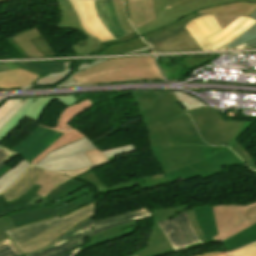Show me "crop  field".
Segmentation results:
<instances>
[{"mask_svg":"<svg viewBox=\"0 0 256 256\" xmlns=\"http://www.w3.org/2000/svg\"><path fill=\"white\" fill-rule=\"evenodd\" d=\"M193 119L202 139L211 145H228L252 169L256 162L251 155L236 141L254 122L226 121L210 107L194 109L187 112Z\"/></svg>","mask_w":256,"mask_h":256,"instance_id":"e52e79f7","label":"crop field"},{"mask_svg":"<svg viewBox=\"0 0 256 256\" xmlns=\"http://www.w3.org/2000/svg\"><path fill=\"white\" fill-rule=\"evenodd\" d=\"M219 235L222 241L256 222V203L246 206H213Z\"/></svg>","mask_w":256,"mask_h":256,"instance_id":"d1516ede","label":"crop field"},{"mask_svg":"<svg viewBox=\"0 0 256 256\" xmlns=\"http://www.w3.org/2000/svg\"><path fill=\"white\" fill-rule=\"evenodd\" d=\"M31 165L23 160L16 167L6 172L0 177V193L15 183L19 177L25 172V170Z\"/></svg>","mask_w":256,"mask_h":256,"instance_id":"120bbe31","label":"crop field"},{"mask_svg":"<svg viewBox=\"0 0 256 256\" xmlns=\"http://www.w3.org/2000/svg\"><path fill=\"white\" fill-rule=\"evenodd\" d=\"M158 225L175 250L185 248V245L199 242L189 222L186 210L172 219L159 222Z\"/></svg>","mask_w":256,"mask_h":256,"instance_id":"cbeb9de0","label":"crop field"},{"mask_svg":"<svg viewBox=\"0 0 256 256\" xmlns=\"http://www.w3.org/2000/svg\"><path fill=\"white\" fill-rule=\"evenodd\" d=\"M14 245L10 239L0 242V256H17L21 254Z\"/></svg>","mask_w":256,"mask_h":256,"instance_id":"03da06ac","label":"crop field"},{"mask_svg":"<svg viewBox=\"0 0 256 256\" xmlns=\"http://www.w3.org/2000/svg\"><path fill=\"white\" fill-rule=\"evenodd\" d=\"M77 178L84 179V180L90 182L91 184L95 185L97 190H98L97 193L116 191V190H120V189H124V188L134 186L133 182L130 181V182H126V183H123V184H119V185L107 188L98 180V178L95 176L94 173H90V172H88V173H86V174H84L80 177H77Z\"/></svg>","mask_w":256,"mask_h":256,"instance_id":"5866460e","label":"crop field"},{"mask_svg":"<svg viewBox=\"0 0 256 256\" xmlns=\"http://www.w3.org/2000/svg\"><path fill=\"white\" fill-rule=\"evenodd\" d=\"M151 216L152 214L146 209V207H144L139 210L107 217L97 221H93L92 218H90L70 230L64 235V237L56 240L54 244L28 256H74L83 248L88 237L119 224Z\"/></svg>","mask_w":256,"mask_h":256,"instance_id":"d8731c3e","label":"crop field"},{"mask_svg":"<svg viewBox=\"0 0 256 256\" xmlns=\"http://www.w3.org/2000/svg\"><path fill=\"white\" fill-rule=\"evenodd\" d=\"M188 211V214H189V218H190V222L195 230V232L197 233L198 237L200 240H203L204 237L202 236L199 228H198V225L196 223V220H195V217H194V213H193V210H187Z\"/></svg>","mask_w":256,"mask_h":256,"instance_id":"73cf0c24","label":"crop field"},{"mask_svg":"<svg viewBox=\"0 0 256 256\" xmlns=\"http://www.w3.org/2000/svg\"><path fill=\"white\" fill-rule=\"evenodd\" d=\"M237 1L256 3V0H153L157 19L136 30L142 36L170 23H174L189 13L205 9L209 6Z\"/></svg>","mask_w":256,"mask_h":256,"instance_id":"5a996713","label":"crop field"},{"mask_svg":"<svg viewBox=\"0 0 256 256\" xmlns=\"http://www.w3.org/2000/svg\"><path fill=\"white\" fill-rule=\"evenodd\" d=\"M234 48H256V40L236 46ZM233 49V48H231Z\"/></svg>","mask_w":256,"mask_h":256,"instance_id":"dbb93151","label":"crop field"},{"mask_svg":"<svg viewBox=\"0 0 256 256\" xmlns=\"http://www.w3.org/2000/svg\"><path fill=\"white\" fill-rule=\"evenodd\" d=\"M15 155L17 154L0 145V167Z\"/></svg>","mask_w":256,"mask_h":256,"instance_id":"425ffa30","label":"crop field"},{"mask_svg":"<svg viewBox=\"0 0 256 256\" xmlns=\"http://www.w3.org/2000/svg\"><path fill=\"white\" fill-rule=\"evenodd\" d=\"M19 256H24V255H19Z\"/></svg>","mask_w":256,"mask_h":256,"instance_id":"db79e9e6","label":"crop field"},{"mask_svg":"<svg viewBox=\"0 0 256 256\" xmlns=\"http://www.w3.org/2000/svg\"><path fill=\"white\" fill-rule=\"evenodd\" d=\"M10 44L24 57L29 58L25 52L16 44V42L13 39L8 40Z\"/></svg>","mask_w":256,"mask_h":256,"instance_id":"1f2cbd36","label":"crop field"},{"mask_svg":"<svg viewBox=\"0 0 256 256\" xmlns=\"http://www.w3.org/2000/svg\"><path fill=\"white\" fill-rule=\"evenodd\" d=\"M131 151H135V148L132 144L118 147V148L111 149V150H107V151H103V154L106 156L107 159H109L116 155L131 152Z\"/></svg>","mask_w":256,"mask_h":256,"instance_id":"b54c1fbb","label":"crop field"},{"mask_svg":"<svg viewBox=\"0 0 256 256\" xmlns=\"http://www.w3.org/2000/svg\"><path fill=\"white\" fill-rule=\"evenodd\" d=\"M94 211V203H91L69 214L19 226L6 232L21 252L27 255L54 243L61 235L93 216Z\"/></svg>","mask_w":256,"mask_h":256,"instance_id":"412701ff","label":"crop field"},{"mask_svg":"<svg viewBox=\"0 0 256 256\" xmlns=\"http://www.w3.org/2000/svg\"><path fill=\"white\" fill-rule=\"evenodd\" d=\"M54 100L61 102L66 108L60 115V120L55 128L43 125L40 123L39 118L44 112L48 104ZM24 105L15 113V115L0 129V142L6 138L16 126L24 119L29 118L40 123V126L33 131L26 139H24L17 147L24 143L28 138H30L36 131H38L42 126L59 132L53 140L40 152L34 155L28 161L32 162L33 165L41 161V159L50 151L62 147L66 144L74 142L78 139L85 137L82 133L76 131L67 124L79 113L85 111L86 109L92 107V103L89 99L78 102L73 96H50V97H34L25 98L21 101ZM64 129V131H62ZM71 129V131H68Z\"/></svg>","mask_w":256,"mask_h":256,"instance_id":"34b2d1b8","label":"crop field"},{"mask_svg":"<svg viewBox=\"0 0 256 256\" xmlns=\"http://www.w3.org/2000/svg\"><path fill=\"white\" fill-rule=\"evenodd\" d=\"M113 2L117 17L126 34L134 31L133 27L130 25L126 18L123 0H113Z\"/></svg>","mask_w":256,"mask_h":256,"instance_id":"e1f06a70","label":"crop field"},{"mask_svg":"<svg viewBox=\"0 0 256 256\" xmlns=\"http://www.w3.org/2000/svg\"><path fill=\"white\" fill-rule=\"evenodd\" d=\"M187 206L152 211L154 224L147 246L136 253L137 256H160L173 251V247L156 222L172 218L185 210Z\"/></svg>","mask_w":256,"mask_h":256,"instance_id":"22f410ed","label":"crop field"},{"mask_svg":"<svg viewBox=\"0 0 256 256\" xmlns=\"http://www.w3.org/2000/svg\"><path fill=\"white\" fill-rule=\"evenodd\" d=\"M136 224H137V221H134L131 223L119 225L105 232L97 234L88 239L87 244L81 251L94 247L96 245L102 244L104 242H109L115 239H119L123 236L135 233Z\"/></svg>","mask_w":256,"mask_h":256,"instance_id":"730fd06b","label":"crop field"},{"mask_svg":"<svg viewBox=\"0 0 256 256\" xmlns=\"http://www.w3.org/2000/svg\"><path fill=\"white\" fill-rule=\"evenodd\" d=\"M178 101L181 103V105L183 106V108L186 111H189L191 109L194 108H199V107H205L206 105L203 104L202 102H200L199 100L190 97L184 93L181 92H174Z\"/></svg>","mask_w":256,"mask_h":256,"instance_id":"b80d0937","label":"crop field"},{"mask_svg":"<svg viewBox=\"0 0 256 256\" xmlns=\"http://www.w3.org/2000/svg\"><path fill=\"white\" fill-rule=\"evenodd\" d=\"M185 27L203 50L212 49L204 38L222 30L213 15L198 17Z\"/></svg>","mask_w":256,"mask_h":256,"instance_id":"733c2abd","label":"crop field"},{"mask_svg":"<svg viewBox=\"0 0 256 256\" xmlns=\"http://www.w3.org/2000/svg\"><path fill=\"white\" fill-rule=\"evenodd\" d=\"M22 99H9L0 107V128L14 115L23 105Z\"/></svg>","mask_w":256,"mask_h":256,"instance_id":"028f5c9d","label":"crop field"},{"mask_svg":"<svg viewBox=\"0 0 256 256\" xmlns=\"http://www.w3.org/2000/svg\"><path fill=\"white\" fill-rule=\"evenodd\" d=\"M254 241H256V223L222 242L227 251H231Z\"/></svg>","mask_w":256,"mask_h":256,"instance_id":"d3111659","label":"crop field"},{"mask_svg":"<svg viewBox=\"0 0 256 256\" xmlns=\"http://www.w3.org/2000/svg\"><path fill=\"white\" fill-rule=\"evenodd\" d=\"M108 59H95L91 65L83 64L79 66V69L77 71H73L72 68L69 70V65L74 61H64L65 64V70L61 73H52L49 75H44L40 77L36 82H34L33 85L26 87V88H31L36 85H55V86H72V85H77L74 80L71 78L73 75L76 73L87 69L91 66H94L98 63H101L103 61H106ZM25 89V88H22Z\"/></svg>","mask_w":256,"mask_h":256,"instance_id":"bc2a9ffb","label":"crop field"},{"mask_svg":"<svg viewBox=\"0 0 256 256\" xmlns=\"http://www.w3.org/2000/svg\"><path fill=\"white\" fill-rule=\"evenodd\" d=\"M10 170L9 168H7L5 165H3L1 168H0V176L2 174H4L6 171Z\"/></svg>","mask_w":256,"mask_h":256,"instance_id":"1d79db26","label":"crop field"},{"mask_svg":"<svg viewBox=\"0 0 256 256\" xmlns=\"http://www.w3.org/2000/svg\"><path fill=\"white\" fill-rule=\"evenodd\" d=\"M130 256H136V255H135V253H134V254H132V255H130Z\"/></svg>","mask_w":256,"mask_h":256,"instance_id":"0765c3eb","label":"crop field"},{"mask_svg":"<svg viewBox=\"0 0 256 256\" xmlns=\"http://www.w3.org/2000/svg\"><path fill=\"white\" fill-rule=\"evenodd\" d=\"M6 1H11V0H0V3L6 2Z\"/></svg>","mask_w":256,"mask_h":256,"instance_id":"447ae74e","label":"crop field"},{"mask_svg":"<svg viewBox=\"0 0 256 256\" xmlns=\"http://www.w3.org/2000/svg\"><path fill=\"white\" fill-rule=\"evenodd\" d=\"M142 39H143V41H145L146 43L149 44V42L147 41V39L144 36H142Z\"/></svg>","mask_w":256,"mask_h":256,"instance_id":"9d1cf04e","label":"crop field"},{"mask_svg":"<svg viewBox=\"0 0 256 256\" xmlns=\"http://www.w3.org/2000/svg\"><path fill=\"white\" fill-rule=\"evenodd\" d=\"M40 76L23 68L0 73V88H19L33 84Z\"/></svg>","mask_w":256,"mask_h":256,"instance_id":"4177f3b9","label":"crop field"},{"mask_svg":"<svg viewBox=\"0 0 256 256\" xmlns=\"http://www.w3.org/2000/svg\"><path fill=\"white\" fill-rule=\"evenodd\" d=\"M31 41L44 57H57L55 52L43 36L31 39Z\"/></svg>","mask_w":256,"mask_h":256,"instance_id":"c21b1889","label":"crop field"},{"mask_svg":"<svg viewBox=\"0 0 256 256\" xmlns=\"http://www.w3.org/2000/svg\"><path fill=\"white\" fill-rule=\"evenodd\" d=\"M200 16L193 13L178 20L174 24L144 35L154 52L158 51H181V50H201L192 36L185 29V25L192 19ZM159 43V45H157Z\"/></svg>","mask_w":256,"mask_h":256,"instance_id":"3316defc","label":"crop field"},{"mask_svg":"<svg viewBox=\"0 0 256 256\" xmlns=\"http://www.w3.org/2000/svg\"><path fill=\"white\" fill-rule=\"evenodd\" d=\"M67 180H69V178L45 171L36 182V184L42 185L38 191V194L45 197L54 187L64 183Z\"/></svg>","mask_w":256,"mask_h":256,"instance_id":"1d83c4d3","label":"crop field"},{"mask_svg":"<svg viewBox=\"0 0 256 256\" xmlns=\"http://www.w3.org/2000/svg\"><path fill=\"white\" fill-rule=\"evenodd\" d=\"M216 56H198V57H186L184 58L189 68L199 65L205 61H208Z\"/></svg>","mask_w":256,"mask_h":256,"instance_id":"d23c7cc5","label":"crop field"},{"mask_svg":"<svg viewBox=\"0 0 256 256\" xmlns=\"http://www.w3.org/2000/svg\"><path fill=\"white\" fill-rule=\"evenodd\" d=\"M175 146L152 151L159 161L167 182L201 175L202 179L223 172L222 166L242 165L230 148L217 152L206 159L203 155L206 145L190 117L183 113L161 122Z\"/></svg>","mask_w":256,"mask_h":256,"instance_id":"8a807250","label":"crop field"},{"mask_svg":"<svg viewBox=\"0 0 256 256\" xmlns=\"http://www.w3.org/2000/svg\"><path fill=\"white\" fill-rule=\"evenodd\" d=\"M39 31L34 28L27 31H23L18 35L11 37L18 45L27 53L30 58L43 57L29 39L40 36ZM10 39V38H9Z\"/></svg>","mask_w":256,"mask_h":256,"instance_id":"bd1437ed","label":"crop field"},{"mask_svg":"<svg viewBox=\"0 0 256 256\" xmlns=\"http://www.w3.org/2000/svg\"><path fill=\"white\" fill-rule=\"evenodd\" d=\"M39 187L34 184L27 194L10 203H7L0 194V217L9 215L17 227L52 216H60L93 202V193L90 189L72 179L53 189L45 198L36 194Z\"/></svg>","mask_w":256,"mask_h":256,"instance_id":"ac0d7876","label":"crop field"},{"mask_svg":"<svg viewBox=\"0 0 256 256\" xmlns=\"http://www.w3.org/2000/svg\"><path fill=\"white\" fill-rule=\"evenodd\" d=\"M96 149L92 143L83 138L79 141L66 145L48 153L41 162L35 166L56 170H73L91 165L84 152Z\"/></svg>","mask_w":256,"mask_h":256,"instance_id":"28ad6ade","label":"crop field"},{"mask_svg":"<svg viewBox=\"0 0 256 256\" xmlns=\"http://www.w3.org/2000/svg\"><path fill=\"white\" fill-rule=\"evenodd\" d=\"M20 68L14 63H0V72L5 71V70H10V69H16Z\"/></svg>","mask_w":256,"mask_h":256,"instance_id":"89e229c0","label":"crop field"},{"mask_svg":"<svg viewBox=\"0 0 256 256\" xmlns=\"http://www.w3.org/2000/svg\"><path fill=\"white\" fill-rule=\"evenodd\" d=\"M151 47L148 46V47H144V48H140V49H137V50H133V51H129V52H125V53H140L142 51H146V50H150ZM123 54V53H122Z\"/></svg>","mask_w":256,"mask_h":256,"instance_id":"0fb4a251","label":"crop field"},{"mask_svg":"<svg viewBox=\"0 0 256 256\" xmlns=\"http://www.w3.org/2000/svg\"><path fill=\"white\" fill-rule=\"evenodd\" d=\"M250 17H252L253 19L256 20V11L253 14H251ZM255 38H256V24L253 25L249 30H247L239 38H237L232 43H230L229 45H227L226 47H224L222 49H228V48H231L233 46H236V45H239V44L251 41V40H253Z\"/></svg>","mask_w":256,"mask_h":256,"instance_id":"c035e120","label":"crop field"},{"mask_svg":"<svg viewBox=\"0 0 256 256\" xmlns=\"http://www.w3.org/2000/svg\"><path fill=\"white\" fill-rule=\"evenodd\" d=\"M256 10V4L237 2L222 6H214L205 10L198 11L200 14H227V15H245L249 16Z\"/></svg>","mask_w":256,"mask_h":256,"instance_id":"ae1a2a85","label":"crop field"},{"mask_svg":"<svg viewBox=\"0 0 256 256\" xmlns=\"http://www.w3.org/2000/svg\"><path fill=\"white\" fill-rule=\"evenodd\" d=\"M254 23H256L255 20L249 17L240 16L233 23H231L227 28L206 39L211 43V45L215 49H220L226 46L227 44H229L230 42H232L237 37H239Z\"/></svg>","mask_w":256,"mask_h":256,"instance_id":"4a817a6b","label":"crop field"},{"mask_svg":"<svg viewBox=\"0 0 256 256\" xmlns=\"http://www.w3.org/2000/svg\"><path fill=\"white\" fill-rule=\"evenodd\" d=\"M72 78L78 84L164 79L153 57L110 59Z\"/></svg>","mask_w":256,"mask_h":256,"instance_id":"f4fd0767","label":"crop field"},{"mask_svg":"<svg viewBox=\"0 0 256 256\" xmlns=\"http://www.w3.org/2000/svg\"><path fill=\"white\" fill-rule=\"evenodd\" d=\"M93 1L99 18L110 34L115 38L125 35L115 15L112 0Z\"/></svg>","mask_w":256,"mask_h":256,"instance_id":"dafd665d","label":"crop field"},{"mask_svg":"<svg viewBox=\"0 0 256 256\" xmlns=\"http://www.w3.org/2000/svg\"><path fill=\"white\" fill-rule=\"evenodd\" d=\"M194 213L205 239L218 234L212 206L194 208Z\"/></svg>","mask_w":256,"mask_h":256,"instance_id":"eef30255","label":"crop field"},{"mask_svg":"<svg viewBox=\"0 0 256 256\" xmlns=\"http://www.w3.org/2000/svg\"><path fill=\"white\" fill-rule=\"evenodd\" d=\"M144 46H148V45L143 43V41L135 31L129 35H125L118 39L101 43L100 46L96 48L94 52L98 54H119L124 51L132 50V49H136Z\"/></svg>","mask_w":256,"mask_h":256,"instance_id":"214f88e0","label":"crop field"},{"mask_svg":"<svg viewBox=\"0 0 256 256\" xmlns=\"http://www.w3.org/2000/svg\"><path fill=\"white\" fill-rule=\"evenodd\" d=\"M43 172L44 170L30 167L11 188L3 193L7 202H10L27 193V191L30 190Z\"/></svg>","mask_w":256,"mask_h":256,"instance_id":"a9b5d70f","label":"crop field"},{"mask_svg":"<svg viewBox=\"0 0 256 256\" xmlns=\"http://www.w3.org/2000/svg\"><path fill=\"white\" fill-rule=\"evenodd\" d=\"M56 2L61 7V19L58 23H56L58 29L74 28L85 33L87 39L81 41L79 44L75 46H72V49L74 50L76 56H83L86 54L89 55L91 52L95 50L96 46L100 44V41H98L96 38L85 32L69 0H60Z\"/></svg>","mask_w":256,"mask_h":256,"instance_id":"5142ce71","label":"crop field"},{"mask_svg":"<svg viewBox=\"0 0 256 256\" xmlns=\"http://www.w3.org/2000/svg\"><path fill=\"white\" fill-rule=\"evenodd\" d=\"M86 32L101 42L114 39L97 18L92 0H70Z\"/></svg>","mask_w":256,"mask_h":256,"instance_id":"d9b57169","label":"crop field"},{"mask_svg":"<svg viewBox=\"0 0 256 256\" xmlns=\"http://www.w3.org/2000/svg\"><path fill=\"white\" fill-rule=\"evenodd\" d=\"M56 134L57 132L42 127L14 152L28 160L47 145Z\"/></svg>","mask_w":256,"mask_h":256,"instance_id":"00972430","label":"crop field"},{"mask_svg":"<svg viewBox=\"0 0 256 256\" xmlns=\"http://www.w3.org/2000/svg\"><path fill=\"white\" fill-rule=\"evenodd\" d=\"M16 64L40 76L64 70L63 61L22 62Z\"/></svg>","mask_w":256,"mask_h":256,"instance_id":"750c4746","label":"crop field"},{"mask_svg":"<svg viewBox=\"0 0 256 256\" xmlns=\"http://www.w3.org/2000/svg\"><path fill=\"white\" fill-rule=\"evenodd\" d=\"M230 255L231 256H256V243L248 245L239 250L230 252ZM198 256H229V255L227 253H222V252H212V253H206Z\"/></svg>","mask_w":256,"mask_h":256,"instance_id":"0bd39190","label":"crop field"},{"mask_svg":"<svg viewBox=\"0 0 256 256\" xmlns=\"http://www.w3.org/2000/svg\"><path fill=\"white\" fill-rule=\"evenodd\" d=\"M14 228L11 220L9 219V216H5L0 218V241L8 238V235L6 234L5 230Z\"/></svg>","mask_w":256,"mask_h":256,"instance_id":"5d738f31","label":"crop field"},{"mask_svg":"<svg viewBox=\"0 0 256 256\" xmlns=\"http://www.w3.org/2000/svg\"><path fill=\"white\" fill-rule=\"evenodd\" d=\"M132 25L138 28L154 19L152 0H125Z\"/></svg>","mask_w":256,"mask_h":256,"instance_id":"92a150f3","label":"crop field"},{"mask_svg":"<svg viewBox=\"0 0 256 256\" xmlns=\"http://www.w3.org/2000/svg\"><path fill=\"white\" fill-rule=\"evenodd\" d=\"M254 173L256 174V171H254Z\"/></svg>","mask_w":256,"mask_h":256,"instance_id":"7b73153f","label":"crop field"},{"mask_svg":"<svg viewBox=\"0 0 256 256\" xmlns=\"http://www.w3.org/2000/svg\"><path fill=\"white\" fill-rule=\"evenodd\" d=\"M148 130L152 150L172 146L168 134L159 122L183 113L173 92H132Z\"/></svg>","mask_w":256,"mask_h":256,"instance_id":"dd49c442","label":"crop field"},{"mask_svg":"<svg viewBox=\"0 0 256 256\" xmlns=\"http://www.w3.org/2000/svg\"><path fill=\"white\" fill-rule=\"evenodd\" d=\"M214 17L216 18L222 29H224L239 16L214 15Z\"/></svg>","mask_w":256,"mask_h":256,"instance_id":"25e5ab78","label":"crop field"},{"mask_svg":"<svg viewBox=\"0 0 256 256\" xmlns=\"http://www.w3.org/2000/svg\"><path fill=\"white\" fill-rule=\"evenodd\" d=\"M86 155L88 156L89 160L91 161V163L93 165L86 167L84 169L81 170H73V171H56L57 173L60 174H68L69 177L75 178L77 176H80L88 171L91 170V168L101 165V164H105L108 163V160L105 158V156L102 154V152L100 150H94V151H90V152H86Z\"/></svg>","mask_w":256,"mask_h":256,"instance_id":"d32e631a","label":"crop field"}]
</instances>
